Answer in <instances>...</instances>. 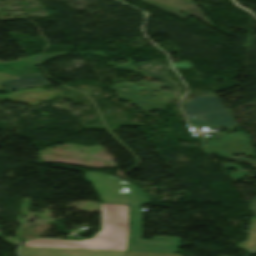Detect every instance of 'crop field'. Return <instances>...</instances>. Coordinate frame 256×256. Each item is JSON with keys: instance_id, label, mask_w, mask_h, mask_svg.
<instances>
[{"instance_id": "11", "label": "crop field", "mask_w": 256, "mask_h": 256, "mask_svg": "<svg viewBox=\"0 0 256 256\" xmlns=\"http://www.w3.org/2000/svg\"><path fill=\"white\" fill-rule=\"evenodd\" d=\"M174 67H181V68H190L192 67L189 62H181L173 64Z\"/></svg>"}, {"instance_id": "12", "label": "crop field", "mask_w": 256, "mask_h": 256, "mask_svg": "<svg viewBox=\"0 0 256 256\" xmlns=\"http://www.w3.org/2000/svg\"><path fill=\"white\" fill-rule=\"evenodd\" d=\"M166 6L170 7V8H173L175 10H179V11H182L184 9V7L180 6V5H177V4H167Z\"/></svg>"}, {"instance_id": "4", "label": "crop field", "mask_w": 256, "mask_h": 256, "mask_svg": "<svg viewBox=\"0 0 256 256\" xmlns=\"http://www.w3.org/2000/svg\"><path fill=\"white\" fill-rule=\"evenodd\" d=\"M0 72L17 76L0 81V85L12 90L48 83L28 58L17 62L0 63Z\"/></svg>"}, {"instance_id": "3", "label": "crop field", "mask_w": 256, "mask_h": 256, "mask_svg": "<svg viewBox=\"0 0 256 256\" xmlns=\"http://www.w3.org/2000/svg\"><path fill=\"white\" fill-rule=\"evenodd\" d=\"M182 105L190 123L236 126L231 114L215 95L193 98Z\"/></svg>"}, {"instance_id": "10", "label": "crop field", "mask_w": 256, "mask_h": 256, "mask_svg": "<svg viewBox=\"0 0 256 256\" xmlns=\"http://www.w3.org/2000/svg\"><path fill=\"white\" fill-rule=\"evenodd\" d=\"M246 174H247V172L239 171V172L234 173L232 176H233V178H235L237 180H242Z\"/></svg>"}, {"instance_id": "6", "label": "crop field", "mask_w": 256, "mask_h": 256, "mask_svg": "<svg viewBox=\"0 0 256 256\" xmlns=\"http://www.w3.org/2000/svg\"><path fill=\"white\" fill-rule=\"evenodd\" d=\"M151 1L163 4V5H165L167 3H171V2H174V3H177V4H181V5L185 6V7H187L183 11H187V12H189L191 14L186 15V16H182L179 12H177L175 10L169 9L167 7L155 4V3L147 1V0H143V2H145V3L149 4V5L155 6L157 8L163 9V10L168 11V12H171V13L175 14L176 16H179L182 19H186L187 16L195 15V16H198L199 18H201L206 23L210 24V22L206 19V17L202 14V12L198 9V7L193 2H189V1H185V0H151Z\"/></svg>"}, {"instance_id": "2", "label": "crop field", "mask_w": 256, "mask_h": 256, "mask_svg": "<svg viewBox=\"0 0 256 256\" xmlns=\"http://www.w3.org/2000/svg\"><path fill=\"white\" fill-rule=\"evenodd\" d=\"M102 230L90 240L36 239L24 246L126 251L127 205L101 204Z\"/></svg>"}, {"instance_id": "9", "label": "crop field", "mask_w": 256, "mask_h": 256, "mask_svg": "<svg viewBox=\"0 0 256 256\" xmlns=\"http://www.w3.org/2000/svg\"><path fill=\"white\" fill-rule=\"evenodd\" d=\"M227 158L234 159V160H237V161H240V162H244V163L250 164V165H252L253 167L256 168V161L244 159V158H241V157H236V158L227 157ZM250 208L252 209V211H253V212L255 213V215H256V199H254V200L252 201Z\"/></svg>"}, {"instance_id": "1", "label": "crop field", "mask_w": 256, "mask_h": 256, "mask_svg": "<svg viewBox=\"0 0 256 256\" xmlns=\"http://www.w3.org/2000/svg\"><path fill=\"white\" fill-rule=\"evenodd\" d=\"M86 181H91L103 203L129 204L130 238L128 251L175 253L179 249V238L156 237L152 241L141 239L142 212L140 205L150 202L135 185L114 176L85 171Z\"/></svg>"}, {"instance_id": "5", "label": "crop field", "mask_w": 256, "mask_h": 256, "mask_svg": "<svg viewBox=\"0 0 256 256\" xmlns=\"http://www.w3.org/2000/svg\"><path fill=\"white\" fill-rule=\"evenodd\" d=\"M252 140L247 133H232L216 140L209 141L206 150L220 156H233L236 153L252 154Z\"/></svg>"}, {"instance_id": "13", "label": "crop field", "mask_w": 256, "mask_h": 256, "mask_svg": "<svg viewBox=\"0 0 256 256\" xmlns=\"http://www.w3.org/2000/svg\"><path fill=\"white\" fill-rule=\"evenodd\" d=\"M200 125V124H199ZM221 127H224V128H234V127H225V126H221Z\"/></svg>"}, {"instance_id": "7", "label": "crop field", "mask_w": 256, "mask_h": 256, "mask_svg": "<svg viewBox=\"0 0 256 256\" xmlns=\"http://www.w3.org/2000/svg\"><path fill=\"white\" fill-rule=\"evenodd\" d=\"M136 65L140 67L141 72H143L144 74L150 75V76H152V77H154V78L172 86L175 89V91L177 92L176 94L173 95L174 97H179L180 96L181 92L178 90L176 84L168 81L166 79V74L163 72L164 69H167L170 66L159 65L155 62H145V63L136 64ZM152 69H154L155 72H152L151 71Z\"/></svg>"}, {"instance_id": "8", "label": "crop field", "mask_w": 256, "mask_h": 256, "mask_svg": "<svg viewBox=\"0 0 256 256\" xmlns=\"http://www.w3.org/2000/svg\"><path fill=\"white\" fill-rule=\"evenodd\" d=\"M67 54L66 52L61 53H51V54H42V55H34L29 56L28 58L32 61L34 65H41L45 63L46 61L54 58L61 57L63 55Z\"/></svg>"}]
</instances>
